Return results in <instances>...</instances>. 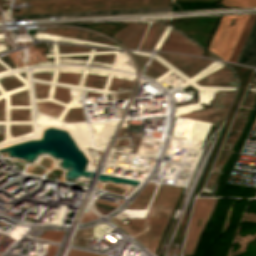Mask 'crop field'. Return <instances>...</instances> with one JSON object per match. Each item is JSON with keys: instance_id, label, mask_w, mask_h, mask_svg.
Segmentation results:
<instances>
[{"instance_id": "obj_1", "label": "crop field", "mask_w": 256, "mask_h": 256, "mask_svg": "<svg viewBox=\"0 0 256 256\" xmlns=\"http://www.w3.org/2000/svg\"><path fill=\"white\" fill-rule=\"evenodd\" d=\"M180 189L160 185L147 219H132L128 226L115 218L112 220L155 252Z\"/></svg>"}, {"instance_id": "obj_2", "label": "crop field", "mask_w": 256, "mask_h": 256, "mask_svg": "<svg viewBox=\"0 0 256 256\" xmlns=\"http://www.w3.org/2000/svg\"><path fill=\"white\" fill-rule=\"evenodd\" d=\"M255 16H224L208 50L235 63Z\"/></svg>"}, {"instance_id": "obj_3", "label": "crop field", "mask_w": 256, "mask_h": 256, "mask_svg": "<svg viewBox=\"0 0 256 256\" xmlns=\"http://www.w3.org/2000/svg\"><path fill=\"white\" fill-rule=\"evenodd\" d=\"M216 199L197 198L192 214V219L184 247V254H192L197 239L213 209ZM201 219L200 225L197 226L198 219Z\"/></svg>"}, {"instance_id": "obj_4", "label": "crop field", "mask_w": 256, "mask_h": 256, "mask_svg": "<svg viewBox=\"0 0 256 256\" xmlns=\"http://www.w3.org/2000/svg\"><path fill=\"white\" fill-rule=\"evenodd\" d=\"M160 50L176 51L200 56L203 54V49L174 29H172Z\"/></svg>"}, {"instance_id": "obj_5", "label": "crop field", "mask_w": 256, "mask_h": 256, "mask_svg": "<svg viewBox=\"0 0 256 256\" xmlns=\"http://www.w3.org/2000/svg\"><path fill=\"white\" fill-rule=\"evenodd\" d=\"M159 56L166 59L180 71H182L187 76H192L194 73L202 69L204 66L209 64L210 60L174 55V54H164L158 53Z\"/></svg>"}, {"instance_id": "obj_6", "label": "crop field", "mask_w": 256, "mask_h": 256, "mask_svg": "<svg viewBox=\"0 0 256 256\" xmlns=\"http://www.w3.org/2000/svg\"><path fill=\"white\" fill-rule=\"evenodd\" d=\"M169 9H170V7H162V8L97 11V12L94 11V12H78V13L12 16V18H14V19H40V18H47V17H74V16L109 15V14H127V13H136V12L169 11Z\"/></svg>"}, {"instance_id": "obj_7", "label": "crop field", "mask_w": 256, "mask_h": 256, "mask_svg": "<svg viewBox=\"0 0 256 256\" xmlns=\"http://www.w3.org/2000/svg\"><path fill=\"white\" fill-rule=\"evenodd\" d=\"M147 24H129L119 30L113 37L122 42L127 48H137Z\"/></svg>"}, {"instance_id": "obj_8", "label": "crop field", "mask_w": 256, "mask_h": 256, "mask_svg": "<svg viewBox=\"0 0 256 256\" xmlns=\"http://www.w3.org/2000/svg\"><path fill=\"white\" fill-rule=\"evenodd\" d=\"M236 63L256 66V18Z\"/></svg>"}, {"instance_id": "obj_9", "label": "crop field", "mask_w": 256, "mask_h": 256, "mask_svg": "<svg viewBox=\"0 0 256 256\" xmlns=\"http://www.w3.org/2000/svg\"><path fill=\"white\" fill-rule=\"evenodd\" d=\"M201 85L235 86V78L226 66L196 81Z\"/></svg>"}, {"instance_id": "obj_10", "label": "crop field", "mask_w": 256, "mask_h": 256, "mask_svg": "<svg viewBox=\"0 0 256 256\" xmlns=\"http://www.w3.org/2000/svg\"><path fill=\"white\" fill-rule=\"evenodd\" d=\"M46 32L113 44L112 42L102 38L101 36L94 34V33H90L88 31L54 28V29H46Z\"/></svg>"}, {"instance_id": "obj_11", "label": "crop field", "mask_w": 256, "mask_h": 256, "mask_svg": "<svg viewBox=\"0 0 256 256\" xmlns=\"http://www.w3.org/2000/svg\"><path fill=\"white\" fill-rule=\"evenodd\" d=\"M234 93L235 92H227L226 93L216 117L211 116L212 118H204V119H196V120H188V121L202 123V124L216 127L220 118H222V119L224 118Z\"/></svg>"}, {"instance_id": "obj_12", "label": "crop field", "mask_w": 256, "mask_h": 256, "mask_svg": "<svg viewBox=\"0 0 256 256\" xmlns=\"http://www.w3.org/2000/svg\"><path fill=\"white\" fill-rule=\"evenodd\" d=\"M165 26L164 25H160V24H152L142 43L140 46V49H150L152 50L156 41L158 40L159 36L161 35L162 31L164 30Z\"/></svg>"}, {"instance_id": "obj_13", "label": "crop field", "mask_w": 256, "mask_h": 256, "mask_svg": "<svg viewBox=\"0 0 256 256\" xmlns=\"http://www.w3.org/2000/svg\"><path fill=\"white\" fill-rule=\"evenodd\" d=\"M155 186L156 185L153 183H148V185L144 188L141 194L127 209H144Z\"/></svg>"}, {"instance_id": "obj_14", "label": "crop field", "mask_w": 256, "mask_h": 256, "mask_svg": "<svg viewBox=\"0 0 256 256\" xmlns=\"http://www.w3.org/2000/svg\"><path fill=\"white\" fill-rule=\"evenodd\" d=\"M10 104H28L26 88L9 95Z\"/></svg>"}, {"instance_id": "obj_15", "label": "crop field", "mask_w": 256, "mask_h": 256, "mask_svg": "<svg viewBox=\"0 0 256 256\" xmlns=\"http://www.w3.org/2000/svg\"><path fill=\"white\" fill-rule=\"evenodd\" d=\"M106 79V77L88 75L84 86L102 89Z\"/></svg>"}, {"instance_id": "obj_16", "label": "crop field", "mask_w": 256, "mask_h": 256, "mask_svg": "<svg viewBox=\"0 0 256 256\" xmlns=\"http://www.w3.org/2000/svg\"><path fill=\"white\" fill-rule=\"evenodd\" d=\"M11 120H30L28 108L10 109Z\"/></svg>"}, {"instance_id": "obj_17", "label": "crop field", "mask_w": 256, "mask_h": 256, "mask_svg": "<svg viewBox=\"0 0 256 256\" xmlns=\"http://www.w3.org/2000/svg\"><path fill=\"white\" fill-rule=\"evenodd\" d=\"M221 2L225 4V6L256 7V0H223Z\"/></svg>"}, {"instance_id": "obj_18", "label": "crop field", "mask_w": 256, "mask_h": 256, "mask_svg": "<svg viewBox=\"0 0 256 256\" xmlns=\"http://www.w3.org/2000/svg\"><path fill=\"white\" fill-rule=\"evenodd\" d=\"M79 74L58 73L57 81L77 85Z\"/></svg>"}, {"instance_id": "obj_19", "label": "crop field", "mask_w": 256, "mask_h": 256, "mask_svg": "<svg viewBox=\"0 0 256 256\" xmlns=\"http://www.w3.org/2000/svg\"><path fill=\"white\" fill-rule=\"evenodd\" d=\"M35 87H36L37 98H42V99L48 98V94L51 86L35 83Z\"/></svg>"}, {"instance_id": "obj_20", "label": "crop field", "mask_w": 256, "mask_h": 256, "mask_svg": "<svg viewBox=\"0 0 256 256\" xmlns=\"http://www.w3.org/2000/svg\"><path fill=\"white\" fill-rule=\"evenodd\" d=\"M132 84L133 83L126 82V81H123V80L113 79L108 89L115 90V91H117L118 87L130 89Z\"/></svg>"}, {"instance_id": "obj_21", "label": "crop field", "mask_w": 256, "mask_h": 256, "mask_svg": "<svg viewBox=\"0 0 256 256\" xmlns=\"http://www.w3.org/2000/svg\"><path fill=\"white\" fill-rule=\"evenodd\" d=\"M59 49H60V53L86 52L90 50V48H86V47H71V46H64V45H59Z\"/></svg>"}, {"instance_id": "obj_22", "label": "crop field", "mask_w": 256, "mask_h": 256, "mask_svg": "<svg viewBox=\"0 0 256 256\" xmlns=\"http://www.w3.org/2000/svg\"><path fill=\"white\" fill-rule=\"evenodd\" d=\"M55 99L70 100V89L56 87Z\"/></svg>"}, {"instance_id": "obj_23", "label": "crop field", "mask_w": 256, "mask_h": 256, "mask_svg": "<svg viewBox=\"0 0 256 256\" xmlns=\"http://www.w3.org/2000/svg\"><path fill=\"white\" fill-rule=\"evenodd\" d=\"M2 81H3L6 91L10 90L12 88L18 87L20 85H23L22 83H20L19 81H17L16 79H14L12 77L3 79Z\"/></svg>"}, {"instance_id": "obj_24", "label": "crop field", "mask_w": 256, "mask_h": 256, "mask_svg": "<svg viewBox=\"0 0 256 256\" xmlns=\"http://www.w3.org/2000/svg\"><path fill=\"white\" fill-rule=\"evenodd\" d=\"M31 131L30 125L15 126V136Z\"/></svg>"}, {"instance_id": "obj_25", "label": "crop field", "mask_w": 256, "mask_h": 256, "mask_svg": "<svg viewBox=\"0 0 256 256\" xmlns=\"http://www.w3.org/2000/svg\"><path fill=\"white\" fill-rule=\"evenodd\" d=\"M112 55H94L93 60L110 63Z\"/></svg>"}, {"instance_id": "obj_26", "label": "crop field", "mask_w": 256, "mask_h": 256, "mask_svg": "<svg viewBox=\"0 0 256 256\" xmlns=\"http://www.w3.org/2000/svg\"><path fill=\"white\" fill-rule=\"evenodd\" d=\"M68 256H101V255H96V254H91V253H86V252H81L76 250H70Z\"/></svg>"}, {"instance_id": "obj_27", "label": "crop field", "mask_w": 256, "mask_h": 256, "mask_svg": "<svg viewBox=\"0 0 256 256\" xmlns=\"http://www.w3.org/2000/svg\"><path fill=\"white\" fill-rule=\"evenodd\" d=\"M51 76L52 73H46V74H34L33 77L34 78H39V79H43V80H51Z\"/></svg>"}, {"instance_id": "obj_28", "label": "crop field", "mask_w": 256, "mask_h": 256, "mask_svg": "<svg viewBox=\"0 0 256 256\" xmlns=\"http://www.w3.org/2000/svg\"><path fill=\"white\" fill-rule=\"evenodd\" d=\"M0 120H5L4 110L0 108Z\"/></svg>"}, {"instance_id": "obj_29", "label": "crop field", "mask_w": 256, "mask_h": 256, "mask_svg": "<svg viewBox=\"0 0 256 256\" xmlns=\"http://www.w3.org/2000/svg\"><path fill=\"white\" fill-rule=\"evenodd\" d=\"M0 19H1V15H0Z\"/></svg>"}]
</instances>
